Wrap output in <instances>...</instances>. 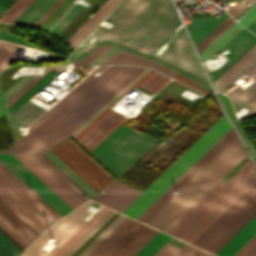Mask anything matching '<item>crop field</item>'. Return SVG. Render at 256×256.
<instances>
[{
    "mask_svg": "<svg viewBox=\"0 0 256 256\" xmlns=\"http://www.w3.org/2000/svg\"><path fill=\"white\" fill-rule=\"evenodd\" d=\"M109 18L120 21L111 31L98 27L102 35L95 43L78 47L68 58H81L96 46L111 43L167 65L211 91L184 32L176 34L160 56L153 54L175 33L178 17L170 0H124Z\"/></svg>",
    "mask_w": 256,
    "mask_h": 256,
    "instance_id": "8a807250",
    "label": "crop field"
},
{
    "mask_svg": "<svg viewBox=\"0 0 256 256\" xmlns=\"http://www.w3.org/2000/svg\"><path fill=\"white\" fill-rule=\"evenodd\" d=\"M247 154L237 135L221 149L193 178H191L179 192L211 185L220 180ZM217 182H214L215 185ZM212 186V185H211ZM213 187V186H212ZM212 187L181 194L177 192L161 210H159L147 224L166 232L180 219L206 192ZM145 222V223H146Z\"/></svg>",
    "mask_w": 256,
    "mask_h": 256,
    "instance_id": "ac0d7876",
    "label": "crop field"
},
{
    "mask_svg": "<svg viewBox=\"0 0 256 256\" xmlns=\"http://www.w3.org/2000/svg\"><path fill=\"white\" fill-rule=\"evenodd\" d=\"M26 187L0 163V211L34 240L60 218Z\"/></svg>",
    "mask_w": 256,
    "mask_h": 256,
    "instance_id": "34b2d1b8",
    "label": "crop field"
},
{
    "mask_svg": "<svg viewBox=\"0 0 256 256\" xmlns=\"http://www.w3.org/2000/svg\"><path fill=\"white\" fill-rule=\"evenodd\" d=\"M145 68L126 66L61 124L20 153L42 155L62 141Z\"/></svg>",
    "mask_w": 256,
    "mask_h": 256,
    "instance_id": "412701ff",
    "label": "crop field"
},
{
    "mask_svg": "<svg viewBox=\"0 0 256 256\" xmlns=\"http://www.w3.org/2000/svg\"><path fill=\"white\" fill-rule=\"evenodd\" d=\"M105 67L107 66L98 67L91 73V75L95 71L103 70ZM124 67V65L109 66L98 77L100 79L99 81L98 79L90 75L86 77L69 93H67L59 102H57L50 110H48L45 114L38 118L34 122V124L30 126L29 134L27 136H25L23 139H18V137H16V140L18 139L17 145L15 144L16 147L14 145L12 148L0 152H9L11 149L15 147L13 150L10 151L11 153H14L30 138H32L38 131H40L45 125H47L52 119H54L59 113H61L66 107H68L73 101H75L81 94H83L88 88H90L95 82L98 81L15 153H18L21 150H23L25 147H27L28 145L36 141L38 138L49 132L51 129L56 127L59 123H61L67 116H69L75 109H77L83 102H85L91 95H93L98 89H100L106 82H108L114 75H116Z\"/></svg>",
    "mask_w": 256,
    "mask_h": 256,
    "instance_id": "f4fd0767",
    "label": "crop field"
},
{
    "mask_svg": "<svg viewBox=\"0 0 256 256\" xmlns=\"http://www.w3.org/2000/svg\"><path fill=\"white\" fill-rule=\"evenodd\" d=\"M230 127L231 126L227 122L225 116H223L132 204H130L123 213L136 219Z\"/></svg>",
    "mask_w": 256,
    "mask_h": 256,
    "instance_id": "dd49c442",
    "label": "crop field"
},
{
    "mask_svg": "<svg viewBox=\"0 0 256 256\" xmlns=\"http://www.w3.org/2000/svg\"><path fill=\"white\" fill-rule=\"evenodd\" d=\"M156 143L157 141L120 125L89 152L117 176Z\"/></svg>",
    "mask_w": 256,
    "mask_h": 256,
    "instance_id": "e52e79f7",
    "label": "crop field"
},
{
    "mask_svg": "<svg viewBox=\"0 0 256 256\" xmlns=\"http://www.w3.org/2000/svg\"><path fill=\"white\" fill-rule=\"evenodd\" d=\"M256 214V182L192 244L215 254Z\"/></svg>",
    "mask_w": 256,
    "mask_h": 256,
    "instance_id": "d8731c3e",
    "label": "crop field"
},
{
    "mask_svg": "<svg viewBox=\"0 0 256 256\" xmlns=\"http://www.w3.org/2000/svg\"><path fill=\"white\" fill-rule=\"evenodd\" d=\"M51 150L55 154H57L67 165H69L97 192H99L101 189H103L114 180L68 139ZM51 150L44 155L49 158L57 167H59L91 197L96 195L95 193L97 192Z\"/></svg>",
    "mask_w": 256,
    "mask_h": 256,
    "instance_id": "5a996713",
    "label": "crop field"
},
{
    "mask_svg": "<svg viewBox=\"0 0 256 256\" xmlns=\"http://www.w3.org/2000/svg\"><path fill=\"white\" fill-rule=\"evenodd\" d=\"M251 80L235 86L226 94L234 109L238 112L242 107L248 110L246 117L256 115V44L223 72L212 83L216 90L224 93L240 81V77Z\"/></svg>",
    "mask_w": 256,
    "mask_h": 256,
    "instance_id": "3316defc",
    "label": "crop field"
},
{
    "mask_svg": "<svg viewBox=\"0 0 256 256\" xmlns=\"http://www.w3.org/2000/svg\"><path fill=\"white\" fill-rule=\"evenodd\" d=\"M141 225L142 223L126 217L87 256H110ZM157 233L158 231L143 224L111 256H134Z\"/></svg>",
    "mask_w": 256,
    "mask_h": 256,
    "instance_id": "28ad6ade",
    "label": "crop field"
},
{
    "mask_svg": "<svg viewBox=\"0 0 256 256\" xmlns=\"http://www.w3.org/2000/svg\"><path fill=\"white\" fill-rule=\"evenodd\" d=\"M92 203L88 201L76 210L72 211L64 218L55 223L42 236H40L21 256H43L40 252L45 245L51 240L56 244L46 255L51 256L63 243H65L86 221L83 219L89 215L84 210Z\"/></svg>",
    "mask_w": 256,
    "mask_h": 256,
    "instance_id": "d1516ede",
    "label": "crop field"
},
{
    "mask_svg": "<svg viewBox=\"0 0 256 256\" xmlns=\"http://www.w3.org/2000/svg\"><path fill=\"white\" fill-rule=\"evenodd\" d=\"M253 167L251 160L243 165L226 182L220 180L206 193L167 233L179 238L192 226L215 202H217L240 178Z\"/></svg>",
    "mask_w": 256,
    "mask_h": 256,
    "instance_id": "22f410ed",
    "label": "crop field"
},
{
    "mask_svg": "<svg viewBox=\"0 0 256 256\" xmlns=\"http://www.w3.org/2000/svg\"><path fill=\"white\" fill-rule=\"evenodd\" d=\"M256 181V172L252 168L217 203H215L180 239L191 243L224 210H226L246 189ZM202 234V233H201Z\"/></svg>",
    "mask_w": 256,
    "mask_h": 256,
    "instance_id": "cbeb9de0",
    "label": "crop field"
},
{
    "mask_svg": "<svg viewBox=\"0 0 256 256\" xmlns=\"http://www.w3.org/2000/svg\"><path fill=\"white\" fill-rule=\"evenodd\" d=\"M0 162L61 217L68 211L72 210L12 155L0 154Z\"/></svg>",
    "mask_w": 256,
    "mask_h": 256,
    "instance_id": "5142ce71",
    "label": "crop field"
},
{
    "mask_svg": "<svg viewBox=\"0 0 256 256\" xmlns=\"http://www.w3.org/2000/svg\"><path fill=\"white\" fill-rule=\"evenodd\" d=\"M13 156L18 159L26 168H28L36 177H38L46 186H48L72 209L83 203L32 156Z\"/></svg>",
    "mask_w": 256,
    "mask_h": 256,
    "instance_id": "d9b57169",
    "label": "crop field"
},
{
    "mask_svg": "<svg viewBox=\"0 0 256 256\" xmlns=\"http://www.w3.org/2000/svg\"><path fill=\"white\" fill-rule=\"evenodd\" d=\"M100 194L103 195L101 198H99L101 195L98 194L92 200L95 201L99 198L96 202L122 212L141 192L115 180Z\"/></svg>",
    "mask_w": 256,
    "mask_h": 256,
    "instance_id": "733c2abd",
    "label": "crop field"
},
{
    "mask_svg": "<svg viewBox=\"0 0 256 256\" xmlns=\"http://www.w3.org/2000/svg\"><path fill=\"white\" fill-rule=\"evenodd\" d=\"M233 129L216 144L186 175H184L154 206H152L139 221L145 222L156 210H158L182 185H184L203 165H205L225 144L234 136ZM171 194V195H169ZM169 195V197H167Z\"/></svg>",
    "mask_w": 256,
    "mask_h": 256,
    "instance_id": "4a817a6b",
    "label": "crop field"
},
{
    "mask_svg": "<svg viewBox=\"0 0 256 256\" xmlns=\"http://www.w3.org/2000/svg\"><path fill=\"white\" fill-rule=\"evenodd\" d=\"M65 66L48 67L45 68V76H37L15 96L5 103L9 115L31 98L37 91H39L45 84H47L53 77H55Z\"/></svg>",
    "mask_w": 256,
    "mask_h": 256,
    "instance_id": "bc2a9ffb",
    "label": "crop field"
},
{
    "mask_svg": "<svg viewBox=\"0 0 256 256\" xmlns=\"http://www.w3.org/2000/svg\"><path fill=\"white\" fill-rule=\"evenodd\" d=\"M256 43V36L250 33L245 28L240 31L234 38H232L223 47L227 48L231 52L228 53L231 58L223 64L218 70L208 72L213 81L223 71H225L231 64H233L239 57H241L247 50H249Z\"/></svg>",
    "mask_w": 256,
    "mask_h": 256,
    "instance_id": "214f88e0",
    "label": "crop field"
},
{
    "mask_svg": "<svg viewBox=\"0 0 256 256\" xmlns=\"http://www.w3.org/2000/svg\"><path fill=\"white\" fill-rule=\"evenodd\" d=\"M256 233V215L217 253L218 256H232Z\"/></svg>",
    "mask_w": 256,
    "mask_h": 256,
    "instance_id": "92a150f3",
    "label": "crop field"
},
{
    "mask_svg": "<svg viewBox=\"0 0 256 256\" xmlns=\"http://www.w3.org/2000/svg\"><path fill=\"white\" fill-rule=\"evenodd\" d=\"M111 63H128V64H137V65H141V66H146L149 67L151 66L152 68L172 77L174 76L175 72L161 66L158 65L152 61H149L147 59H144L140 56H137L135 54L129 53L127 51H120L118 54H116L115 56H113L111 59H109L108 61H106L104 64H111Z\"/></svg>",
    "mask_w": 256,
    "mask_h": 256,
    "instance_id": "dafd665d",
    "label": "crop field"
},
{
    "mask_svg": "<svg viewBox=\"0 0 256 256\" xmlns=\"http://www.w3.org/2000/svg\"><path fill=\"white\" fill-rule=\"evenodd\" d=\"M0 231L22 251L33 241L0 212Z\"/></svg>",
    "mask_w": 256,
    "mask_h": 256,
    "instance_id": "00972430",
    "label": "crop field"
},
{
    "mask_svg": "<svg viewBox=\"0 0 256 256\" xmlns=\"http://www.w3.org/2000/svg\"><path fill=\"white\" fill-rule=\"evenodd\" d=\"M55 1L56 0H35L14 23L32 26Z\"/></svg>",
    "mask_w": 256,
    "mask_h": 256,
    "instance_id": "a9b5d70f",
    "label": "crop field"
},
{
    "mask_svg": "<svg viewBox=\"0 0 256 256\" xmlns=\"http://www.w3.org/2000/svg\"><path fill=\"white\" fill-rule=\"evenodd\" d=\"M228 15L223 14L218 20L211 16L194 19L187 27L194 39L195 44L208 34L215 26H217Z\"/></svg>",
    "mask_w": 256,
    "mask_h": 256,
    "instance_id": "4177f3b9",
    "label": "crop field"
},
{
    "mask_svg": "<svg viewBox=\"0 0 256 256\" xmlns=\"http://www.w3.org/2000/svg\"><path fill=\"white\" fill-rule=\"evenodd\" d=\"M43 111L44 109L27 101L23 106H21L15 113L10 116L13 129H15L18 125L26 127Z\"/></svg>",
    "mask_w": 256,
    "mask_h": 256,
    "instance_id": "730fd06b",
    "label": "crop field"
},
{
    "mask_svg": "<svg viewBox=\"0 0 256 256\" xmlns=\"http://www.w3.org/2000/svg\"><path fill=\"white\" fill-rule=\"evenodd\" d=\"M108 211L109 209L103 207L81 229H79L64 245H62L52 256H62L63 254H65Z\"/></svg>",
    "mask_w": 256,
    "mask_h": 256,
    "instance_id": "eef30255",
    "label": "crop field"
},
{
    "mask_svg": "<svg viewBox=\"0 0 256 256\" xmlns=\"http://www.w3.org/2000/svg\"><path fill=\"white\" fill-rule=\"evenodd\" d=\"M121 117L122 115L113 111L78 142L86 148L89 144H91L97 137H99L105 130H107L113 123H115Z\"/></svg>",
    "mask_w": 256,
    "mask_h": 256,
    "instance_id": "ae1a2a85",
    "label": "crop field"
},
{
    "mask_svg": "<svg viewBox=\"0 0 256 256\" xmlns=\"http://www.w3.org/2000/svg\"><path fill=\"white\" fill-rule=\"evenodd\" d=\"M244 27L234 24L223 35H221L214 43H212L200 56L202 61L208 59L217 50H219L225 43H227L233 36H235Z\"/></svg>",
    "mask_w": 256,
    "mask_h": 256,
    "instance_id": "d3111659",
    "label": "crop field"
},
{
    "mask_svg": "<svg viewBox=\"0 0 256 256\" xmlns=\"http://www.w3.org/2000/svg\"><path fill=\"white\" fill-rule=\"evenodd\" d=\"M185 89L197 94V95H200V93L188 88V87H185L175 81H171L168 85H166L162 90H160V92L174 98L175 100L189 106V107H193L196 103L180 96L179 94L181 92H183Z\"/></svg>",
    "mask_w": 256,
    "mask_h": 256,
    "instance_id": "750c4746",
    "label": "crop field"
},
{
    "mask_svg": "<svg viewBox=\"0 0 256 256\" xmlns=\"http://www.w3.org/2000/svg\"><path fill=\"white\" fill-rule=\"evenodd\" d=\"M150 69H145L135 79H133L126 87H124L118 94H116L109 102H107L101 109H99L93 116H91L84 124H82L76 131L71 135L74 137L84 127H86L92 120H94L100 113H102L108 106H110L115 100H117L123 93H125L131 86H133L139 79H141Z\"/></svg>",
    "mask_w": 256,
    "mask_h": 256,
    "instance_id": "bd1437ed",
    "label": "crop field"
},
{
    "mask_svg": "<svg viewBox=\"0 0 256 256\" xmlns=\"http://www.w3.org/2000/svg\"><path fill=\"white\" fill-rule=\"evenodd\" d=\"M234 22L236 21H234L232 18L228 16L213 31H211L202 41H200L196 45L198 52L200 53L203 49H205L212 41H214L220 34H222Z\"/></svg>",
    "mask_w": 256,
    "mask_h": 256,
    "instance_id": "1d83c4d3",
    "label": "crop field"
},
{
    "mask_svg": "<svg viewBox=\"0 0 256 256\" xmlns=\"http://www.w3.org/2000/svg\"><path fill=\"white\" fill-rule=\"evenodd\" d=\"M171 237L159 232L135 256H153Z\"/></svg>",
    "mask_w": 256,
    "mask_h": 256,
    "instance_id": "120bbe31",
    "label": "crop field"
},
{
    "mask_svg": "<svg viewBox=\"0 0 256 256\" xmlns=\"http://www.w3.org/2000/svg\"><path fill=\"white\" fill-rule=\"evenodd\" d=\"M156 72H154V71H150L149 73H147L141 80H139L136 84L137 85H141V84H143L147 79H149L153 74H155ZM135 84V85H136ZM134 85V86H135ZM133 86V87H134ZM133 87H131L128 91H130ZM127 91V92H128ZM126 92V93H127ZM125 93V94H126ZM125 94H123L120 98H122ZM119 98V99H120ZM118 99V100H119ZM117 100V101H118ZM117 101H115L112 105H114ZM111 105V106H112ZM110 106V107H111ZM110 107H108L102 114H100L94 121H92L86 128H84L78 135H76L74 138L78 141L80 138H82L87 132H89L95 125H97L102 119H104L109 113H111L112 112V110H110L109 108Z\"/></svg>",
    "mask_w": 256,
    "mask_h": 256,
    "instance_id": "d32e631a",
    "label": "crop field"
},
{
    "mask_svg": "<svg viewBox=\"0 0 256 256\" xmlns=\"http://www.w3.org/2000/svg\"><path fill=\"white\" fill-rule=\"evenodd\" d=\"M125 216L119 215L109 224L90 244H88L77 256H86L112 229H114Z\"/></svg>",
    "mask_w": 256,
    "mask_h": 256,
    "instance_id": "5866460e",
    "label": "crop field"
},
{
    "mask_svg": "<svg viewBox=\"0 0 256 256\" xmlns=\"http://www.w3.org/2000/svg\"><path fill=\"white\" fill-rule=\"evenodd\" d=\"M83 8L84 6L75 4L69 10V12L56 24L50 33L57 36Z\"/></svg>",
    "mask_w": 256,
    "mask_h": 256,
    "instance_id": "028f5c9d",
    "label": "crop field"
},
{
    "mask_svg": "<svg viewBox=\"0 0 256 256\" xmlns=\"http://www.w3.org/2000/svg\"><path fill=\"white\" fill-rule=\"evenodd\" d=\"M16 45L0 42V72L8 68L11 57L14 58Z\"/></svg>",
    "mask_w": 256,
    "mask_h": 256,
    "instance_id": "e1f06a70",
    "label": "crop field"
},
{
    "mask_svg": "<svg viewBox=\"0 0 256 256\" xmlns=\"http://www.w3.org/2000/svg\"><path fill=\"white\" fill-rule=\"evenodd\" d=\"M22 251L0 232V256H18Z\"/></svg>",
    "mask_w": 256,
    "mask_h": 256,
    "instance_id": "0bd39190",
    "label": "crop field"
},
{
    "mask_svg": "<svg viewBox=\"0 0 256 256\" xmlns=\"http://www.w3.org/2000/svg\"><path fill=\"white\" fill-rule=\"evenodd\" d=\"M115 211L110 210L96 225H94L65 255L70 256L84 241H86Z\"/></svg>",
    "mask_w": 256,
    "mask_h": 256,
    "instance_id": "b80d0937",
    "label": "crop field"
},
{
    "mask_svg": "<svg viewBox=\"0 0 256 256\" xmlns=\"http://www.w3.org/2000/svg\"><path fill=\"white\" fill-rule=\"evenodd\" d=\"M46 169H48L56 178H58L67 188H69L77 197H79L83 202L88 200L83 197V195L77 191L69 182H67L59 173H57L49 164H47L41 157H35Z\"/></svg>",
    "mask_w": 256,
    "mask_h": 256,
    "instance_id": "c035e120",
    "label": "crop field"
},
{
    "mask_svg": "<svg viewBox=\"0 0 256 256\" xmlns=\"http://www.w3.org/2000/svg\"><path fill=\"white\" fill-rule=\"evenodd\" d=\"M34 77H22L13 86H11L6 92L2 94L4 102L9 100L15 93H17L23 86H25Z\"/></svg>",
    "mask_w": 256,
    "mask_h": 256,
    "instance_id": "c21b1889",
    "label": "crop field"
},
{
    "mask_svg": "<svg viewBox=\"0 0 256 256\" xmlns=\"http://www.w3.org/2000/svg\"><path fill=\"white\" fill-rule=\"evenodd\" d=\"M114 0L106 1L95 13L94 15L76 32V34L67 42L69 45L88 27V25Z\"/></svg>",
    "mask_w": 256,
    "mask_h": 256,
    "instance_id": "03da06ac",
    "label": "crop field"
},
{
    "mask_svg": "<svg viewBox=\"0 0 256 256\" xmlns=\"http://www.w3.org/2000/svg\"><path fill=\"white\" fill-rule=\"evenodd\" d=\"M121 49L116 48V47H111L108 50H106L105 52H103L101 55H99L98 57H96L94 60H92L91 62H89L87 65H93V64H102L104 63L106 60H108L109 58H111L113 55H115L116 53H118Z\"/></svg>",
    "mask_w": 256,
    "mask_h": 256,
    "instance_id": "b54c1fbb",
    "label": "crop field"
},
{
    "mask_svg": "<svg viewBox=\"0 0 256 256\" xmlns=\"http://www.w3.org/2000/svg\"><path fill=\"white\" fill-rule=\"evenodd\" d=\"M175 256H212V255L186 244Z\"/></svg>",
    "mask_w": 256,
    "mask_h": 256,
    "instance_id": "5d738f31",
    "label": "crop field"
},
{
    "mask_svg": "<svg viewBox=\"0 0 256 256\" xmlns=\"http://www.w3.org/2000/svg\"><path fill=\"white\" fill-rule=\"evenodd\" d=\"M165 79H166V77L156 73L140 87L151 92L154 88H156Z\"/></svg>",
    "mask_w": 256,
    "mask_h": 256,
    "instance_id": "d23c7cc5",
    "label": "crop field"
},
{
    "mask_svg": "<svg viewBox=\"0 0 256 256\" xmlns=\"http://www.w3.org/2000/svg\"><path fill=\"white\" fill-rule=\"evenodd\" d=\"M110 46H101L99 48H97L95 51H93L91 54H89L88 56H86L85 58L72 62L73 65H85L87 64L89 61H91L92 59H94L96 56H98L99 54H101L103 51H105L106 49H108ZM111 48V47H110Z\"/></svg>",
    "mask_w": 256,
    "mask_h": 256,
    "instance_id": "425ffa30",
    "label": "crop field"
},
{
    "mask_svg": "<svg viewBox=\"0 0 256 256\" xmlns=\"http://www.w3.org/2000/svg\"><path fill=\"white\" fill-rule=\"evenodd\" d=\"M180 248L175 247L170 244H166L160 251H158L154 256H174Z\"/></svg>",
    "mask_w": 256,
    "mask_h": 256,
    "instance_id": "25e5ab78",
    "label": "crop field"
},
{
    "mask_svg": "<svg viewBox=\"0 0 256 256\" xmlns=\"http://www.w3.org/2000/svg\"><path fill=\"white\" fill-rule=\"evenodd\" d=\"M232 127L216 142L218 143L230 130ZM216 143H214L184 174H186ZM184 174H182L152 205H154ZM150 205L138 218L137 220L152 206Z\"/></svg>",
    "mask_w": 256,
    "mask_h": 256,
    "instance_id": "73cf0c24",
    "label": "crop field"
},
{
    "mask_svg": "<svg viewBox=\"0 0 256 256\" xmlns=\"http://www.w3.org/2000/svg\"><path fill=\"white\" fill-rule=\"evenodd\" d=\"M125 120V118H121L118 120L112 127H110L105 133H103L98 139H96L90 146H88L86 149L89 151L92 147H94L100 140H102L108 133H110L116 126H118L120 123H122ZM92 150V149H91Z\"/></svg>",
    "mask_w": 256,
    "mask_h": 256,
    "instance_id": "89e229c0",
    "label": "crop field"
},
{
    "mask_svg": "<svg viewBox=\"0 0 256 256\" xmlns=\"http://www.w3.org/2000/svg\"><path fill=\"white\" fill-rule=\"evenodd\" d=\"M256 243V234L252 237L241 249H239L233 256H242Z\"/></svg>",
    "mask_w": 256,
    "mask_h": 256,
    "instance_id": "1f2cbd36",
    "label": "crop field"
},
{
    "mask_svg": "<svg viewBox=\"0 0 256 256\" xmlns=\"http://www.w3.org/2000/svg\"><path fill=\"white\" fill-rule=\"evenodd\" d=\"M64 0H57L54 5L33 25L38 27Z\"/></svg>",
    "mask_w": 256,
    "mask_h": 256,
    "instance_id": "dbb93151",
    "label": "crop field"
},
{
    "mask_svg": "<svg viewBox=\"0 0 256 256\" xmlns=\"http://www.w3.org/2000/svg\"><path fill=\"white\" fill-rule=\"evenodd\" d=\"M256 17V6L250 10L244 17H242L239 20V23L243 24V25H247L250 21H252L254 18ZM244 26V27H245Z\"/></svg>",
    "mask_w": 256,
    "mask_h": 256,
    "instance_id": "0fb4a251",
    "label": "crop field"
},
{
    "mask_svg": "<svg viewBox=\"0 0 256 256\" xmlns=\"http://www.w3.org/2000/svg\"><path fill=\"white\" fill-rule=\"evenodd\" d=\"M172 78H174V79H176V80H178V81H181V82H183V83H185V84H187V85H189V86H191V87H194V88H196V89H198V90H200V91H202V92H204V93H206V94H210V93H208V92L202 90L201 88L197 87L196 85H194L193 83L189 82L188 80H186L185 78L181 77V76L178 75V74L175 75V76L172 77Z\"/></svg>",
    "mask_w": 256,
    "mask_h": 256,
    "instance_id": "1d79db26",
    "label": "crop field"
},
{
    "mask_svg": "<svg viewBox=\"0 0 256 256\" xmlns=\"http://www.w3.org/2000/svg\"><path fill=\"white\" fill-rule=\"evenodd\" d=\"M243 4L237 2L233 7H231L227 12H229L233 17L240 12V8Z\"/></svg>",
    "mask_w": 256,
    "mask_h": 256,
    "instance_id": "9d1cf04e",
    "label": "crop field"
},
{
    "mask_svg": "<svg viewBox=\"0 0 256 256\" xmlns=\"http://www.w3.org/2000/svg\"><path fill=\"white\" fill-rule=\"evenodd\" d=\"M246 27H248L250 30H252L254 33H256V18L252 22H250Z\"/></svg>",
    "mask_w": 256,
    "mask_h": 256,
    "instance_id": "447ae74e",
    "label": "crop field"
},
{
    "mask_svg": "<svg viewBox=\"0 0 256 256\" xmlns=\"http://www.w3.org/2000/svg\"><path fill=\"white\" fill-rule=\"evenodd\" d=\"M243 256H256V244Z\"/></svg>",
    "mask_w": 256,
    "mask_h": 256,
    "instance_id": "0765c3eb",
    "label": "crop field"
},
{
    "mask_svg": "<svg viewBox=\"0 0 256 256\" xmlns=\"http://www.w3.org/2000/svg\"><path fill=\"white\" fill-rule=\"evenodd\" d=\"M22 0H18L11 8L10 10L3 16L0 18V21H2Z\"/></svg>",
    "mask_w": 256,
    "mask_h": 256,
    "instance_id": "db79e9e6",
    "label": "crop field"
},
{
    "mask_svg": "<svg viewBox=\"0 0 256 256\" xmlns=\"http://www.w3.org/2000/svg\"><path fill=\"white\" fill-rule=\"evenodd\" d=\"M45 159H47L44 155H42ZM48 160V159H47ZM55 168H57L50 160H48ZM58 169V168H57ZM59 170V169H58ZM60 171V170H59ZM64 176H66L62 171H60ZM67 177V176H66ZM68 178V177H67ZM69 179V178H68ZM70 180V179H69ZM71 181V180H70ZM72 182V181H71ZM74 185H76L74 182H72ZM77 186V185H76ZM78 187V186H77ZM79 188V187H78ZM80 189V188H79ZM81 190V189H80ZM82 191V190H81ZM83 192V191H82ZM84 193V192H83ZM86 194V193H84ZM87 195V194H86ZM88 196V195H87ZM89 197V196H88ZM90 198V197H89Z\"/></svg>",
    "mask_w": 256,
    "mask_h": 256,
    "instance_id": "7b73153f",
    "label": "crop field"
},
{
    "mask_svg": "<svg viewBox=\"0 0 256 256\" xmlns=\"http://www.w3.org/2000/svg\"><path fill=\"white\" fill-rule=\"evenodd\" d=\"M237 2V0H231L223 9H225L226 11L233 6L235 3Z\"/></svg>",
    "mask_w": 256,
    "mask_h": 256,
    "instance_id": "78b8030e",
    "label": "crop field"
},
{
    "mask_svg": "<svg viewBox=\"0 0 256 256\" xmlns=\"http://www.w3.org/2000/svg\"><path fill=\"white\" fill-rule=\"evenodd\" d=\"M255 3H256V1L254 3H252L249 8H251ZM249 8H247L246 10L239 13L237 16L234 17V19H239L243 15V13H245Z\"/></svg>",
    "mask_w": 256,
    "mask_h": 256,
    "instance_id": "0f1d7ab4",
    "label": "crop field"
},
{
    "mask_svg": "<svg viewBox=\"0 0 256 256\" xmlns=\"http://www.w3.org/2000/svg\"><path fill=\"white\" fill-rule=\"evenodd\" d=\"M4 115H6V113H5V110L3 108V105H2V102H1V99H0V117H2Z\"/></svg>",
    "mask_w": 256,
    "mask_h": 256,
    "instance_id": "e1d0b9f6",
    "label": "crop field"
},
{
    "mask_svg": "<svg viewBox=\"0 0 256 256\" xmlns=\"http://www.w3.org/2000/svg\"><path fill=\"white\" fill-rule=\"evenodd\" d=\"M169 81V79L167 78L164 82H162L156 89H154L152 91V93L156 92L157 90H159L164 84H166Z\"/></svg>",
    "mask_w": 256,
    "mask_h": 256,
    "instance_id": "ae633e8c",
    "label": "crop field"
},
{
    "mask_svg": "<svg viewBox=\"0 0 256 256\" xmlns=\"http://www.w3.org/2000/svg\"><path fill=\"white\" fill-rule=\"evenodd\" d=\"M5 9V7L0 5V13Z\"/></svg>",
    "mask_w": 256,
    "mask_h": 256,
    "instance_id": "d14b1444",
    "label": "crop field"
},
{
    "mask_svg": "<svg viewBox=\"0 0 256 256\" xmlns=\"http://www.w3.org/2000/svg\"><path fill=\"white\" fill-rule=\"evenodd\" d=\"M247 3H251L253 0H245Z\"/></svg>",
    "mask_w": 256,
    "mask_h": 256,
    "instance_id": "c39391a2",
    "label": "crop field"
}]
</instances>
